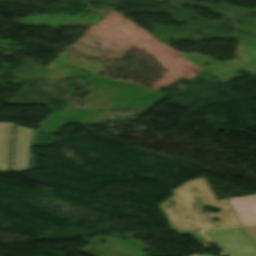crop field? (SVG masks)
Wrapping results in <instances>:
<instances>
[{
    "label": "crop field",
    "instance_id": "412701ff",
    "mask_svg": "<svg viewBox=\"0 0 256 256\" xmlns=\"http://www.w3.org/2000/svg\"><path fill=\"white\" fill-rule=\"evenodd\" d=\"M242 225L256 224V194L229 199Z\"/></svg>",
    "mask_w": 256,
    "mask_h": 256
},
{
    "label": "crop field",
    "instance_id": "ac0d7876",
    "mask_svg": "<svg viewBox=\"0 0 256 256\" xmlns=\"http://www.w3.org/2000/svg\"><path fill=\"white\" fill-rule=\"evenodd\" d=\"M13 126H16L12 162L11 144ZM39 131L17 126L13 123H0V172L32 170L36 156L32 146H37Z\"/></svg>",
    "mask_w": 256,
    "mask_h": 256
},
{
    "label": "crop field",
    "instance_id": "dd49c442",
    "mask_svg": "<svg viewBox=\"0 0 256 256\" xmlns=\"http://www.w3.org/2000/svg\"><path fill=\"white\" fill-rule=\"evenodd\" d=\"M256 243V227L241 228Z\"/></svg>",
    "mask_w": 256,
    "mask_h": 256
},
{
    "label": "crop field",
    "instance_id": "8a807250",
    "mask_svg": "<svg viewBox=\"0 0 256 256\" xmlns=\"http://www.w3.org/2000/svg\"><path fill=\"white\" fill-rule=\"evenodd\" d=\"M172 191L174 196L161 207L176 231L241 225L228 199L217 201L204 177L193 179ZM170 200L175 202V206L170 205ZM205 206H215L222 213L202 214ZM188 216L191 217L184 218Z\"/></svg>",
    "mask_w": 256,
    "mask_h": 256
},
{
    "label": "crop field",
    "instance_id": "34b2d1b8",
    "mask_svg": "<svg viewBox=\"0 0 256 256\" xmlns=\"http://www.w3.org/2000/svg\"><path fill=\"white\" fill-rule=\"evenodd\" d=\"M202 232L227 256H256V244L240 228L203 230Z\"/></svg>",
    "mask_w": 256,
    "mask_h": 256
},
{
    "label": "crop field",
    "instance_id": "f4fd0767",
    "mask_svg": "<svg viewBox=\"0 0 256 256\" xmlns=\"http://www.w3.org/2000/svg\"><path fill=\"white\" fill-rule=\"evenodd\" d=\"M177 233L178 235H192L197 241H199L206 248L209 246L208 240L203 235H201L197 230L183 231V232H177ZM206 242L208 244H205Z\"/></svg>",
    "mask_w": 256,
    "mask_h": 256
},
{
    "label": "crop field",
    "instance_id": "e52e79f7",
    "mask_svg": "<svg viewBox=\"0 0 256 256\" xmlns=\"http://www.w3.org/2000/svg\"><path fill=\"white\" fill-rule=\"evenodd\" d=\"M199 256V255H198Z\"/></svg>",
    "mask_w": 256,
    "mask_h": 256
}]
</instances>
